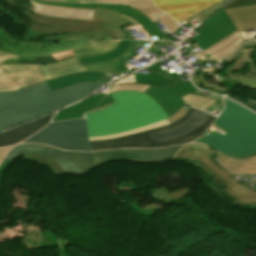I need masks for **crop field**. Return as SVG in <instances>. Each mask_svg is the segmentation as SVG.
Here are the masks:
<instances>
[{
  "label": "crop field",
  "instance_id": "obj_32",
  "mask_svg": "<svg viewBox=\"0 0 256 256\" xmlns=\"http://www.w3.org/2000/svg\"><path fill=\"white\" fill-rule=\"evenodd\" d=\"M153 196H156L161 201L166 203H172L175 200L182 199L185 195L190 193L189 188H185L183 190L176 191L174 193H169L166 188L162 189H154L149 192Z\"/></svg>",
  "mask_w": 256,
  "mask_h": 256
},
{
  "label": "crop field",
  "instance_id": "obj_31",
  "mask_svg": "<svg viewBox=\"0 0 256 256\" xmlns=\"http://www.w3.org/2000/svg\"><path fill=\"white\" fill-rule=\"evenodd\" d=\"M130 42L131 41H121L116 50H114L110 53H107V54L89 57V58H85V59H80L79 62L81 63V65H84V64H90V63L106 61L109 59H114V58L122 55L125 52V50L129 46Z\"/></svg>",
  "mask_w": 256,
  "mask_h": 256
},
{
  "label": "crop field",
  "instance_id": "obj_11",
  "mask_svg": "<svg viewBox=\"0 0 256 256\" xmlns=\"http://www.w3.org/2000/svg\"><path fill=\"white\" fill-rule=\"evenodd\" d=\"M256 45V41L245 43L232 57L220 63L222 66L234 61V65L226 69V76L231 78H256V65L252 52L256 48L248 49V46Z\"/></svg>",
  "mask_w": 256,
  "mask_h": 256
},
{
  "label": "crop field",
  "instance_id": "obj_45",
  "mask_svg": "<svg viewBox=\"0 0 256 256\" xmlns=\"http://www.w3.org/2000/svg\"><path fill=\"white\" fill-rule=\"evenodd\" d=\"M256 5V0H235L224 7V9Z\"/></svg>",
  "mask_w": 256,
  "mask_h": 256
},
{
  "label": "crop field",
  "instance_id": "obj_10",
  "mask_svg": "<svg viewBox=\"0 0 256 256\" xmlns=\"http://www.w3.org/2000/svg\"><path fill=\"white\" fill-rule=\"evenodd\" d=\"M204 24L200 29L203 32L192 38L202 50L219 42L235 31V27L226 16L224 9H221L210 17Z\"/></svg>",
  "mask_w": 256,
  "mask_h": 256
},
{
  "label": "crop field",
  "instance_id": "obj_44",
  "mask_svg": "<svg viewBox=\"0 0 256 256\" xmlns=\"http://www.w3.org/2000/svg\"><path fill=\"white\" fill-rule=\"evenodd\" d=\"M157 18L172 32L181 28L166 14L157 16Z\"/></svg>",
  "mask_w": 256,
  "mask_h": 256
},
{
  "label": "crop field",
  "instance_id": "obj_4",
  "mask_svg": "<svg viewBox=\"0 0 256 256\" xmlns=\"http://www.w3.org/2000/svg\"><path fill=\"white\" fill-rule=\"evenodd\" d=\"M32 18L30 28L40 33L63 34L71 32H98L110 35L112 38L126 37L119 28L135 22L133 19L116 13L114 11L96 8L93 21L67 20L42 16L36 13L31 14L13 0H6Z\"/></svg>",
  "mask_w": 256,
  "mask_h": 256
},
{
  "label": "crop field",
  "instance_id": "obj_42",
  "mask_svg": "<svg viewBox=\"0 0 256 256\" xmlns=\"http://www.w3.org/2000/svg\"><path fill=\"white\" fill-rule=\"evenodd\" d=\"M220 6H222V1H220V2H218V3H216V4H214V5H212V6L208 7V8H206L205 10H203V11H201V12H199V13H197V14H195V15H193V16L187 18V19H185V21H189V20H191V19H193V18H195V17H197V18L203 20L204 18H206L208 15H210L213 11H215V10H216L217 8H219ZM213 13H214V12H213ZM204 20H205V19H204Z\"/></svg>",
  "mask_w": 256,
  "mask_h": 256
},
{
  "label": "crop field",
  "instance_id": "obj_14",
  "mask_svg": "<svg viewBox=\"0 0 256 256\" xmlns=\"http://www.w3.org/2000/svg\"><path fill=\"white\" fill-rule=\"evenodd\" d=\"M0 67L21 88L45 80L38 65L5 64Z\"/></svg>",
  "mask_w": 256,
  "mask_h": 256
},
{
  "label": "crop field",
  "instance_id": "obj_33",
  "mask_svg": "<svg viewBox=\"0 0 256 256\" xmlns=\"http://www.w3.org/2000/svg\"><path fill=\"white\" fill-rule=\"evenodd\" d=\"M24 159H33L38 163L48 166L56 175L64 174L65 172L59 165L49 156L42 154L29 153L23 156Z\"/></svg>",
  "mask_w": 256,
  "mask_h": 256
},
{
  "label": "crop field",
  "instance_id": "obj_9",
  "mask_svg": "<svg viewBox=\"0 0 256 256\" xmlns=\"http://www.w3.org/2000/svg\"><path fill=\"white\" fill-rule=\"evenodd\" d=\"M183 145L174 146L169 148L155 149V150H140V149H126V150H113L102 151L93 153L95 166L119 159H129L142 162L161 161L171 158L176 151Z\"/></svg>",
  "mask_w": 256,
  "mask_h": 256
},
{
  "label": "crop field",
  "instance_id": "obj_52",
  "mask_svg": "<svg viewBox=\"0 0 256 256\" xmlns=\"http://www.w3.org/2000/svg\"><path fill=\"white\" fill-rule=\"evenodd\" d=\"M136 0H96V2H108V3H125V2H131Z\"/></svg>",
  "mask_w": 256,
  "mask_h": 256
},
{
  "label": "crop field",
  "instance_id": "obj_7",
  "mask_svg": "<svg viewBox=\"0 0 256 256\" xmlns=\"http://www.w3.org/2000/svg\"><path fill=\"white\" fill-rule=\"evenodd\" d=\"M120 41L104 39L72 38L62 44L45 48H27L23 60L33 62L36 57L42 58L54 53L71 50L77 59L109 52L117 48Z\"/></svg>",
  "mask_w": 256,
  "mask_h": 256
},
{
  "label": "crop field",
  "instance_id": "obj_6",
  "mask_svg": "<svg viewBox=\"0 0 256 256\" xmlns=\"http://www.w3.org/2000/svg\"><path fill=\"white\" fill-rule=\"evenodd\" d=\"M23 143L48 144L63 150L91 151L85 119L50 123Z\"/></svg>",
  "mask_w": 256,
  "mask_h": 256
},
{
  "label": "crop field",
  "instance_id": "obj_21",
  "mask_svg": "<svg viewBox=\"0 0 256 256\" xmlns=\"http://www.w3.org/2000/svg\"><path fill=\"white\" fill-rule=\"evenodd\" d=\"M188 160L189 161H195V160L200 161L207 168H209L213 173H215L216 175H218L222 179L232 183L233 185L229 189H227L225 191V193H227L231 196H234L236 198H254V197H256V192L255 191L229 180L234 175V173L218 167L212 161L211 158L206 160V161H203V160L198 159V158H189Z\"/></svg>",
  "mask_w": 256,
  "mask_h": 256
},
{
  "label": "crop field",
  "instance_id": "obj_59",
  "mask_svg": "<svg viewBox=\"0 0 256 256\" xmlns=\"http://www.w3.org/2000/svg\"><path fill=\"white\" fill-rule=\"evenodd\" d=\"M54 1H62V2H65V0H54Z\"/></svg>",
  "mask_w": 256,
  "mask_h": 256
},
{
  "label": "crop field",
  "instance_id": "obj_56",
  "mask_svg": "<svg viewBox=\"0 0 256 256\" xmlns=\"http://www.w3.org/2000/svg\"><path fill=\"white\" fill-rule=\"evenodd\" d=\"M256 62V52L252 53Z\"/></svg>",
  "mask_w": 256,
  "mask_h": 256
},
{
  "label": "crop field",
  "instance_id": "obj_48",
  "mask_svg": "<svg viewBox=\"0 0 256 256\" xmlns=\"http://www.w3.org/2000/svg\"><path fill=\"white\" fill-rule=\"evenodd\" d=\"M124 5L130 6L132 8H140V7L151 6L153 4L151 0H144V1H138V2L128 3Z\"/></svg>",
  "mask_w": 256,
  "mask_h": 256
},
{
  "label": "crop field",
  "instance_id": "obj_15",
  "mask_svg": "<svg viewBox=\"0 0 256 256\" xmlns=\"http://www.w3.org/2000/svg\"><path fill=\"white\" fill-rule=\"evenodd\" d=\"M54 114L31 122L19 128L11 129L6 132L0 133V146L15 145L23 139L33 135L41 128L46 126L50 122Z\"/></svg>",
  "mask_w": 256,
  "mask_h": 256
},
{
  "label": "crop field",
  "instance_id": "obj_3",
  "mask_svg": "<svg viewBox=\"0 0 256 256\" xmlns=\"http://www.w3.org/2000/svg\"><path fill=\"white\" fill-rule=\"evenodd\" d=\"M102 85L103 83L86 82L65 87L0 111V131L72 104Z\"/></svg>",
  "mask_w": 256,
  "mask_h": 256
},
{
  "label": "crop field",
  "instance_id": "obj_58",
  "mask_svg": "<svg viewBox=\"0 0 256 256\" xmlns=\"http://www.w3.org/2000/svg\"><path fill=\"white\" fill-rule=\"evenodd\" d=\"M131 71H134V70H133V69H131V70L127 71L126 73H129V72H131ZM126 73H125V74H126Z\"/></svg>",
  "mask_w": 256,
  "mask_h": 256
},
{
  "label": "crop field",
  "instance_id": "obj_27",
  "mask_svg": "<svg viewBox=\"0 0 256 256\" xmlns=\"http://www.w3.org/2000/svg\"><path fill=\"white\" fill-rule=\"evenodd\" d=\"M218 161L224 167L241 174H255L256 173V157L248 159H237L228 157L214 150Z\"/></svg>",
  "mask_w": 256,
  "mask_h": 256
},
{
  "label": "crop field",
  "instance_id": "obj_34",
  "mask_svg": "<svg viewBox=\"0 0 256 256\" xmlns=\"http://www.w3.org/2000/svg\"><path fill=\"white\" fill-rule=\"evenodd\" d=\"M183 100L185 104L195 108L202 109L203 111L207 109L210 105H212L214 102H216L215 100H211L205 97H200V96L191 95V94L183 97Z\"/></svg>",
  "mask_w": 256,
  "mask_h": 256
},
{
  "label": "crop field",
  "instance_id": "obj_24",
  "mask_svg": "<svg viewBox=\"0 0 256 256\" xmlns=\"http://www.w3.org/2000/svg\"><path fill=\"white\" fill-rule=\"evenodd\" d=\"M50 43H28L17 39L0 28V51L22 56L26 47H45Z\"/></svg>",
  "mask_w": 256,
  "mask_h": 256
},
{
  "label": "crop field",
  "instance_id": "obj_35",
  "mask_svg": "<svg viewBox=\"0 0 256 256\" xmlns=\"http://www.w3.org/2000/svg\"><path fill=\"white\" fill-rule=\"evenodd\" d=\"M137 83L151 84L159 88H162L170 82L160 76L156 75H147V74H135Z\"/></svg>",
  "mask_w": 256,
  "mask_h": 256
},
{
  "label": "crop field",
  "instance_id": "obj_26",
  "mask_svg": "<svg viewBox=\"0 0 256 256\" xmlns=\"http://www.w3.org/2000/svg\"><path fill=\"white\" fill-rule=\"evenodd\" d=\"M39 66L46 80L84 70L76 58Z\"/></svg>",
  "mask_w": 256,
  "mask_h": 256
},
{
  "label": "crop field",
  "instance_id": "obj_41",
  "mask_svg": "<svg viewBox=\"0 0 256 256\" xmlns=\"http://www.w3.org/2000/svg\"><path fill=\"white\" fill-rule=\"evenodd\" d=\"M17 89L20 88L5 74L0 76V92L13 91Z\"/></svg>",
  "mask_w": 256,
  "mask_h": 256
},
{
  "label": "crop field",
  "instance_id": "obj_29",
  "mask_svg": "<svg viewBox=\"0 0 256 256\" xmlns=\"http://www.w3.org/2000/svg\"><path fill=\"white\" fill-rule=\"evenodd\" d=\"M214 156L212 151L204 145L200 144H188L183 147L173 159H178L179 157L187 159L188 157H199L202 159H207Z\"/></svg>",
  "mask_w": 256,
  "mask_h": 256
},
{
  "label": "crop field",
  "instance_id": "obj_40",
  "mask_svg": "<svg viewBox=\"0 0 256 256\" xmlns=\"http://www.w3.org/2000/svg\"><path fill=\"white\" fill-rule=\"evenodd\" d=\"M193 79H194L195 83L198 86L202 87L203 89H206V90H209V91H212V92H216V93H219V94H224L227 91V89H223V88H220V87L215 86V85L209 86L206 83L204 77H193Z\"/></svg>",
  "mask_w": 256,
  "mask_h": 256
},
{
  "label": "crop field",
  "instance_id": "obj_2",
  "mask_svg": "<svg viewBox=\"0 0 256 256\" xmlns=\"http://www.w3.org/2000/svg\"><path fill=\"white\" fill-rule=\"evenodd\" d=\"M225 101L224 112L195 142L232 157L256 156V114L232 101Z\"/></svg>",
  "mask_w": 256,
  "mask_h": 256
},
{
  "label": "crop field",
  "instance_id": "obj_19",
  "mask_svg": "<svg viewBox=\"0 0 256 256\" xmlns=\"http://www.w3.org/2000/svg\"><path fill=\"white\" fill-rule=\"evenodd\" d=\"M148 42L150 41H132L128 50L122 56L114 60L97 63V64L85 65L83 67L85 70L107 71V72L122 74L126 70H128L127 63L125 61L131 59L134 56L131 53L134 50H136L138 46L144 48V46Z\"/></svg>",
  "mask_w": 256,
  "mask_h": 256
},
{
  "label": "crop field",
  "instance_id": "obj_22",
  "mask_svg": "<svg viewBox=\"0 0 256 256\" xmlns=\"http://www.w3.org/2000/svg\"><path fill=\"white\" fill-rule=\"evenodd\" d=\"M33 4L36 6V8L33 9L32 11L42 15L59 17V18H68V19L92 20L93 18L94 10L72 9V8L39 4V3H33Z\"/></svg>",
  "mask_w": 256,
  "mask_h": 256
},
{
  "label": "crop field",
  "instance_id": "obj_23",
  "mask_svg": "<svg viewBox=\"0 0 256 256\" xmlns=\"http://www.w3.org/2000/svg\"><path fill=\"white\" fill-rule=\"evenodd\" d=\"M207 116H209V114L196 109V111L191 116V118L187 122H185L183 125L176 127L174 129H171V130L153 133L152 136H153L155 142H157V141H161V140H165V139H169L172 137L183 135V134L188 133L191 130L195 129L198 125H200L202 123V121ZM174 130H176V131H174Z\"/></svg>",
  "mask_w": 256,
  "mask_h": 256
},
{
  "label": "crop field",
  "instance_id": "obj_60",
  "mask_svg": "<svg viewBox=\"0 0 256 256\" xmlns=\"http://www.w3.org/2000/svg\"><path fill=\"white\" fill-rule=\"evenodd\" d=\"M3 74L2 70L0 69V75Z\"/></svg>",
  "mask_w": 256,
  "mask_h": 256
},
{
  "label": "crop field",
  "instance_id": "obj_20",
  "mask_svg": "<svg viewBox=\"0 0 256 256\" xmlns=\"http://www.w3.org/2000/svg\"><path fill=\"white\" fill-rule=\"evenodd\" d=\"M95 6L103 9L114 10L116 12H120L127 16H130L135 21H137L149 33V35L153 39L170 40L162 34V32L156 27V25L147 16H145L143 13L135 9H132L123 5L95 4Z\"/></svg>",
  "mask_w": 256,
  "mask_h": 256
},
{
  "label": "crop field",
  "instance_id": "obj_13",
  "mask_svg": "<svg viewBox=\"0 0 256 256\" xmlns=\"http://www.w3.org/2000/svg\"><path fill=\"white\" fill-rule=\"evenodd\" d=\"M255 32L249 33L248 30L241 32H234L219 43L205 49L204 51H200L195 54L196 57L200 56L203 60L199 62H205V60L215 59L218 62L225 60L228 56L235 52L236 49L239 48V45H242L243 41L247 39H252L255 36ZM207 54L212 55L207 59L204 58ZM202 64V63H201Z\"/></svg>",
  "mask_w": 256,
  "mask_h": 256
},
{
  "label": "crop field",
  "instance_id": "obj_16",
  "mask_svg": "<svg viewBox=\"0 0 256 256\" xmlns=\"http://www.w3.org/2000/svg\"><path fill=\"white\" fill-rule=\"evenodd\" d=\"M113 102L114 101L110 93L108 95L101 93L87 100H84L73 107L59 111L52 121L72 119V118H82L84 117L83 113L91 109H94L98 106H102L104 104H110Z\"/></svg>",
  "mask_w": 256,
  "mask_h": 256
},
{
  "label": "crop field",
  "instance_id": "obj_28",
  "mask_svg": "<svg viewBox=\"0 0 256 256\" xmlns=\"http://www.w3.org/2000/svg\"><path fill=\"white\" fill-rule=\"evenodd\" d=\"M104 73L98 72H83L70 76H66L63 78L55 79L52 81H48V84L51 90L62 88L65 86L85 82V81H96L99 77H101Z\"/></svg>",
  "mask_w": 256,
  "mask_h": 256
},
{
  "label": "crop field",
  "instance_id": "obj_43",
  "mask_svg": "<svg viewBox=\"0 0 256 256\" xmlns=\"http://www.w3.org/2000/svg\"><path fill=\"white\" fill-rule=\"evenodd\" d=\"M222 78L229 83L240 84L256 89V79H231L227 77Z\"/></svg>",
  "mask_w": 256,
  "mask_h": 256
},
{
  "label": "crop field",
  "instance_id": "obj_46",
  "mask_svg": "<svg viewBox=\"0 0 256 256\" xmlns=\"http://www.w3.org/2000/svg\"><path fill=\"white\" fill-rule=\"evenodd\" d=\"M21 59L22 57L13 56L10 54L0 52V65L5 63H20Z\"/></svg>",
  "mask_w": 256,
  "mask_h": 256
},
{
  "label": "crop field",
  "instance_id": "obj_36",
  "mask_svg": "<svg viewBox=\"0 0 256 256\" xmlns=\"http://www.w3.org/2000/svg\"><path fill=\"white\" fill-rule=\"evenodd\" d=\"M85 37V38H105V39H111L107 36L100 35V34H92V33H76V34H66V35H59V36H53V37H47V40H52L54 42L59 40H65L72 37Z\"/></svg>",
  "mask_w": 256,
  "mask_h": 256
},
{
  "label": "crop field",
  "instance_id": "obj_25",
  "mask_svg": "<svg viewBox=\"0 0 256 256\" xmlns=\"http://www.w3.org/2000/svg\"><path fill=\"white\" fill-rule=\"evenodd\" d=\"M238 31L256 28V6L226 11Z\"/></svg>",
  "mask_w": 256,
  "mask_h": 256
},
{
  "label": "crop field",
  "instance_id": "obj_53",
  "mask_svg": "<svg viewBox=\"0 0 256 256\" xmlns=\"http://www.w3.org/2000/svg\"><path fill=\"white\" fill-rule=\"evenodd\" d=\"M199 93H201V92L198 91V90L192 92V94H197V95H200ZM205 97L212 98V99H216V100H218V102L224 104L223 99L220 98V97H216V96H213V95H210V94H209V95H205Z\"/></svg>",
  "mask_w": 256,
  "mask_h": 256
},
{
  "label": "crop field",
  "instance_id": "obj_39",
  "mask_svg": "<svg viewBox=\"0 0 256 256\" xmlns=\"http://www.w3.org/2000/svg\"><path fill=\"white\" fill-rule=\"evenodd\" d=\"M151 85H144V84H122V85H115L110 92L114 91H122V90H134L144 92L148 89Z\"/></svg>",
  "mask_w": 256,
  "mask_h": 256
},
{
  "label": "crop field",
  "instance_id": "obj_57",
  "mask_svg": "<svg viewBox=\"0 0 256 256\" xmlns=\"http://www.w3.org/2000/svg\"><path fill=\"white\" fill-rule=\"evenodd\" d=\"M227 1H229V0H223V4H225Z\"/></svg>",
  "mask_w": 256,
  "mask_h": 256
},
{
  "label": "crop field",
  "instance_id": "obj_50",
  "mask_svg": "<svg viewBox=\"0 0 256 256\" xmlns=\"http://www.w3.org/2000/svg\"><path fill=\"white\" fill-rule=\"evenodd\" d=\"M121 83H136L134 75L132 74L128 77H125L123 79H120V80L114 82V84H121Z\"/></svg>",
  "mask_w": 256,
  "mask_h": 256
},
{
  "label": "crop field",
  "instance_id": "obj_30",
  "mask_svg": "<svg viewBox=\"0 0 256 256\" xmlns=\"http://www.w3.org/2000/svg\"><path fill=\"white\" fill-rule=\"evenodd\" d=\"M160 65H157V64H154L152 66H149L148 68H151L153 70H156V71H160V72H163L173 78H175L177 81L174 82L173 84L171 85H168L170 88H172L177 94H179L181 97L196 90V88H194L192 86V84L190 83V81H187V82H183L181 83L179 76L177 73L173 72L171 74H169L168 72H165L163 70H161L160 68Z\"/></svg>",
  "mask_w": 256,
  "mask_h": 256
},
{
  "label": "crop field",
  "instance_id": "obj_8",
  "mask_svg": "<svg viewBox=\"0 0 256 256\" xmlns=\"http://www.w3.org/2000/svg\"><path fill=\"white\" fill-rule=\"evenodd\" d=\"M36 152L51 156L60 167L70 174L81 175L94 168L92 153L70 152L47 147L44 145H16L7 155V160H13L23 153Z\"/></svg>",
  "mask_w": 256,
  "mask_h": 256
},
{
  "label": "crop field",
  "instance_id": "obj_18",
  "mask_svg": "<svg viewBox=\"0 0 256 256\" xmlns=\"http://www.w3.org/2000/svg\"><path fill=\"white\" fill-rule=\"evenodd\" d=\"M50 91L47 82L26 87L22 90L0 93V110L11 107L40 94Z\"/></svg>",
  "mask_w": 256,
  "mask_h": 256
},
{
  "label": "crop field",
  "instance_id": "obj_54",
  "mask_svg": "<svg viewBox=\"0 0 256 256\" xmlns=\"http://www.w3.org/2000/svg\"><path fill=\"white\" fill-rule=\"evenodd\" d=\"M3 162V161H2ZM11 162L10 161H6L4 160V162L1 164L0 166V179L5 171V169L8 167V165L10 164Z\"/></svg>",
  "mask_w": 256,
  "mask_h": 256
},
{
  "label": "crop field",
  "instance_id": "obj_38",
  "mask_svg": "<svg viewBox=\"0 0 256 256\" xmlns=\"http://www.w3.org/2000/svg\"><path fill=\"white\" fill-rule=\"evenodd\" d=\"M191 163H193V164H196V165H198V166H200L202 169H204L208 174H210L212 177H215V182L214 183H216L217 185H218V187H220L221 189H222V191H225L228 187H230L231 186V184L230 183H228V182H226V181H224V180H222L221 178H219V177H217L216 175H214L210 170H208L203 164H201V163H199V162H191ZM205 187H207L208 188V186L207 185H204ZM209 189V188H208ZM210 190V189H209ZM211 191V190H210ZM217 190L215 189L212 193L214 194V192H216ZM222 191H219V192H222Z\"/></svg>",
  "mask_w": 256,
  "mask_h": 256
},
{
  "label": "crop field",
  "instance_id": "obj_17",
  "mask_svg": "<svg viewBox=\"0 0 256 256\" xmlns=\"http://www.w3.org/2000/svg\"><path fill=\"white\" fill-rule=\"evenodd\" d=\"M144 93L148 94L153 100H155L168 114V116H171L185 105L182 98L168 86L162 89L151 86Z\"/></svg>",
  "mask_w": 256,
  "mask_h": 256
},
{
  "label": "crop field",
  "instance_id": "obj_12",
  "mask_svg": "<svg viewBox=\"0 0 256 256\" xmlns=\"http://www.w3.org/2000/svg\"><path fill=\"white\" fill-rule=\"evenodd\" d=\"M220 0H153L155 7L166 12L176 22Z\"/></svg>",
  "mask_w": 256,
  "mask_h": 256
},
{
  "label": "crop field",
  "instance_id": "obj_47",
  "mask_svg": "<svg viewBox=\"0 0 256 256\" xmlns=\"http://www.w3.org/2000/svg\"><path fill=\"white\" fill-rule=\"evenodd\" d=\"M138 10L146 14L152 21L157 20L154 15L162 13L161 11L157 10L154 6L141 8Z\"/></svg>",
  "mask_w": 256,
  "mask_h": 256
},
{
  "label": "crop field",
  "instance_id": "obj_51",
  "mask_svg": "<svg viewBox=\"0 0 256 256\" xmlns=\"http://www.w3.org/2000/svg\"><path fill=\"white\" fill-rule=\"evenodd\" d=\"M11 147H5V148H0V162L3 160V158L6 156V154L8 153V151L12 148Z\"/></svg>",
  "mask_w": 256,
  "mask_h": 256
},
{
  "label": "crop field",
  "instance_id": "obj_37",
  "mask_svg": "<svg viewBox=\"0 0 256 256\" xmlns=\"http://www.w3.org/2000/svg\"><path fill=\"white\" fill-rule=\"evenodd\" d=\"M166 124H169V122L167 120H164V121L155 123L153 125H150V126H147V127H143V128H139V129H136V130H132V131H129V132H126V133H122V134H118V135H112V136H106V137H99V138H89V140L93 141V140H101V139H108V138L124 136V135H128V134H133V133H138V132L150 130V129H153V128H156V127H160V126H163V125H166Z\"/></svg>",
  "mask_w": 256,
  "mask_h": 256
},
{
  "label": "crop field",
  "instance_id": "obj_1",
  "mask_svg": "<svg viewBox=\"0 0 256 256\" xmlns=\"http://www.w3.org/2000/svg\"><path fill=\"white\" fill-rule=\"evenodd\" d=\"M111 95L114 104L85 114L89 137L122 133L168 118L158 104L144 93L122 91Z\"/></svg>",
  "mask_w": 256,
  "mask_h": 256
},
{
  "label": "crop field",
  "instance_id": "obj_5",
  "mask_svg": "<svg viewBox=\"0 0 256 256\" xmlns=\"http://www.w3.org/2000/svg\"><path fill=\"white\" fill-rule=\"evenodd\" d=\"M194 111H195V108L191 107L190 110L188 111V113L186 115H184L182 118H180L179 120L175 121L172 124H169V125L157 128V129H153L150 131L133 134V135H129V136L109 139V140L90 142L91 149H92V151H95V150H102V149H109V148H124V147L162 148V147H166V146L191 142L203 134V132L215 120V117L210 115L203 121V123L199 127H197L194 131H192L186 135L172 138V139L165 140V141H161V142H157V143L154 142L150 133L167 130V129H171L173 127L179 126V125L183 124L185 121H187L190 118V116L193 114Z\"/></svg>",
  "mask_w": 256,
  "mask_h": 256
},
{
  "label": "crop field",
  "instance_id": "obj_49",
  "mask_svg": "<svg viewBox=\"0 0 256 256\" xmlns=\"http://www.w3.org/2000/svg\"><path fill=\"white\" fill-rule=\"evenodd\" d=\"M234 100H237L239 102H241L242 104L246 105L247 107H249L250 109L256 111V101H253L251 99H248L246 102L241 100V99H238V98H235V97H231V96H228Z\"/></svg>",
  "mask_w": 256,
  "mask_h": 256
},
{
  "label": "crop field",
  "instance_id": "obj_55",
  "mask_svg": "<svg viewBox=\"0 0 256 256\" xmlns=\"http://www.w3.org/2000/svg\"><path fill=\"white\" fill-rule=\"evenodd\" d=\"M69 1H90V0H69Z\"/></svg>",
  "mask_w": 256,
  "mask_h": 256
}]
</instances>
